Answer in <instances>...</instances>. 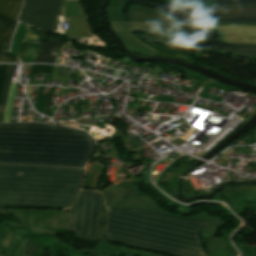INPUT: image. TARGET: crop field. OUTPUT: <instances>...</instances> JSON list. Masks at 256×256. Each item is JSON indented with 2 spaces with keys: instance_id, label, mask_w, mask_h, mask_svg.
<instances>
[{
  "instance_id": "crop-field-1",
  "label": "crop field",
  "mask_w": 256,
  "mask_h": 256,
  "mask_svg": "<svg viewBox=\"0 0 256 256\" xmlns=\"http://www.w3.org/2000/svg\"><path fill=\"white\" fill-rule=\"evenodd\" d=\"M205 224L137 208L119 210L106 206L103 232L109 240L136 248L173 256H207L198 235Z\"/></svg>"
},
{
  "instance_id": "crop-field-2",
  "label": "crop field",
  "mask_w": 256,
  "mask_h": 256,
  "mask_svg": "<svg viewBox=\"0 0 256 256\" xmlns=\"http://www.w3.org/2000/svg\"><path fill=\"white\" fill-rule=\"evenodd\" d=\"M84 132L40 123L0 124V163L83 167L94 150Z\"/></svg>"
},
{
  "instance_id": "crop-field-3",
  "label": "crop field",
  "mask_w": 256,
  "mask_h": 256,
  "mask_svg": "<svg viewBox=\"0 0 256 256\" xmlns=\"http://www.w3.org/2000/svg\"><path fill=\"white\" fill-rule=\"evenodd\" d=\"M84 169L0 165V206L68 208Z\"/></svg>"
},
{
  "instance_id": "crop-field-4",
  "label": "crop field",
  "mask_w": 256,
  "mask_h": 256,
  "mask_svg": "<svg viewBox=\"0 0 256 256\" xmlns=\"http://www.w3.org/2000/svg\"><path fill=\"white\" fill-rule=\"evenodd\" d=\"M103 209L102 195L93 191H80L76 202L69 209L68 230L77 238L97 241Z\"/></svg>"
},
{
  "instance_id": "crop-field-5",
  "label": "crop field",
  "mask_w": 256,
  "mask_h": 256,
  "mask_svg": "<svg viewBox=\"0 0 256 256\" xmlns=\"http://www.w3.org/2000/svg\"><path fill=\"white\" fill-rule=\"evenodd\" d=\"M60 0H27L21 22L52 30Z\"/></svg>"
},
{
  "instance_id": "crop-field-6",
  "label": "crop field",
  "mask_w": 256,
  "mask_h": 256,
  "mask_svg": "<svg viewBox=\"0 0 256 256\" xmlns=\"http://www.w3.org/2000/svg\"><path fill=\"white\" fill-rule=\"evenodd\" d=\"M21 3L22 0H0V55L8 54L7 49L12 39ZM11 58L0 56V61L16 62Z\"/></svg>"
},
{
  "instance_id": "crop-field-7",
  "label": "crop field",
  "mask_w": 256,
  "mask_h": 256,
  "mask_svg": "<svg viewBox=\"0 0 256 256\" xmlns=\"http://www.w3.org/2000/svg\"><path fill=\"white\" fill-rule=\"evenodd\" d=\"M214 11H204V18L227 19L256 17V5L212 7Z\"/></svg>"
},
{
  "instance_id": "crop-field-8",
  "label": "crop field",
  "mask_w": 256,
  "mask_h": 256,
  "mask_svg": "<svg viewBox=\"0 0 256 256\" xmlns=\"http://www.w3.org/2000/svg\"><path fill=\"white\" fill-rule=\"evenodd\" d=\"M217 32L229 43L256 44V28L217 26Z\"/></svg>"
},
{
  "instance_id": "crop-field-9",
  "label": "crop field",
  "mask_w": 256,
  "mask_h": 256,
  "mask_svg": "<svg viewBox=\"0 0 256 256\" xmlns=\"http://www.w3.org/2000/svg\"><path fill=\"white\" fill-rule=\"evenodd\" d=\"M61 44H63V43H61L53 38L46 42L41 43L38 48L34 62L54 63L55 57L49 56V54L52 50V47L60 48ZM62 47H61V49H62ZM57 48H54V49L59 50Z\"/></svg>"
},
{
  "instance_id": "crop-field-10",
  "label": "crop field",
  "mask_w": 256,
  "mask_h": 256,
  "mask_svg": "<svg viewBox=\"0 0 256 256\" xmlns=\"http://www.w3.org/2000/svg\"><path fill=\"white\" fill-rule=\"evenodd\" d=\"M13 67H14V65H9L8 72H7L6 82H5L1 106H0V122H2V120H3V115H4L9 85H10V81H11V77H12Z\"/></svg>"
},
{
  "instance_id": "crop-field-11",
  "label": "crop field",
  "mask_w": 256,
  "mask_h": 256,
  "mask_svg": "<svg viewBox=\"0 0 256 256\" xmlns=\"http://www.w3.org/2000/svg\"><path fill=\"white\" fill-rule=\"evenodd\" d=\"M38 46H27L22 62H33Z\"/></svg>"
},
{
  "instance_id": "crop-field-12",
  "label": "crop field",
  "mask_w": 256,
  "mask_h": 256,
  "mask_svg": "<svg viewBox=\"0 0 256 256\" xmlns=\"http://www.w3.org/2000/svg\"><path fill=\"white\" fill-rule=\"evenodd\" d=\"M250 3H256V0H217L218 5L250 4Z\"/></svg>"
},
{
  "instance_id": "crop-field-13",
  "label": "crop field",
  "mask_w": 256,
  "mask_h": 256,
  "mask_svg": "<svg viewBox=\"0 0 256 256\" xmlns=\"http://www.w3.org/2000/svg\"><path fill=\"white\" fill-rule=\"evenodd\" d=\"M7 67H8V65L0 64V100H1V96H2Z\"/></svg>"
},
{
  "instance_id": "crop-field-14",
  "label": "crop field",
  "mask_w": 256,
  "mask_h": 256,
  "mask_svg": "<svg viewBox=\"0 0 256 256\" xmlns=\"http://www.w3.org/2000/svg\"><path fill=\"white\" fill-rule=\"evenodd\" d=\"M241 21H256V18H241V19H229V20H208V19H204V22H241Z\"/></svg>"
},
{
  "instance_id": "crop-field-15",
  "label": "crop field",
  "mask_w": 256,
  "mask_h": 256,
  "mask_svg": "<svg viewBox=\"0 0 256 256\" xmlns=\"http://www.w3.org/2000/svg\"><path fill=\"white\" fill-rule=\"evenodd\" d=\"M230 45H232V49L256 50V45H250V44H230Z\"/></svg>"
},
{
  "instance_id": "crop-field-16",
  "label": "crop field",
  "mask_w": 256,
  "mask_h": 256,
  "mask_svg": "<svg viewBox=\"0 0 256 256\" xmlns=\"http://www.w3.org/2000/svg\"><path fill=\"white\" fill-rule=\"evenodd\" d=\"M41 36H42L41 34L36 33L33 30H31L30 28H28L27 37L25 39V42L36 40V39H41Z\"/></svg>"
},
{
  "instance_id": "crop-field-17",
  "label": "crop field",
  "mask_w": 256,
  "mask_h": 256,
  "mask_svg": "<svg viewBox=\"0 0 256 256\" xmlns=\"http://www.w3.org/2000/svg\"><path fill=\"white\" fill-rule=\"evenodd\" d=\"M53 89L52 87H50V91H49V96H48V100H47V107H46V112H45V115L48 116V113H49V106H50V101H51V96H52V93H53Z\"/></svg>"
},
{
  "instance_id": "crop-field-18",
  "label": "crop field",
  "mask_w": 256,
  "mask_h": 256,
  "mask_svg": "<svg viewBox=\"0 0 256 256\" xmlns=\"http://www.w3.org/2000/svg\"><path fill=\"white\" fill-rule=\"evenodd\" d=\"M228 53H238V54H255L256 51H227Z\"/></svg>"
},
{
  "instance_id": "crop-field-19",
  "label": "crop field",
  "mask_w": 256,
  "mask_h": 256,
  "mask_svg": "<svg viewBox=\"0 0 256 256\" xmlns=\"http://www.w3.org/2000/svg\"><path fill=\"white\" fill-rule=\"evenodd\" d=\"M25 47H26V45L21 46V47H20V49H19L18 58H19V59H21V60H22V56H23V53H24Z\"/></svg>"
},
{
  "instance_id": "crop-field-20",
  "label": "crop field",
  "mask_w": 256,
  "mask_h": 256,
  "mask_svg": "<svg viewBox=\"0 0 256 256\" xmlns=\"http://www.w3.org/2000/svg\"><path fill=\"white\" fill-rule=\"evenodd\" d=\"M33 86H27L26 93H31Z\"/></svg>"
}]
</instances>
